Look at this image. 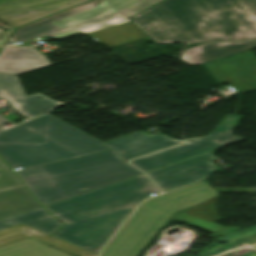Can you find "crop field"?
<instances>
[{"mask_svg":"<svg viewBox=\"0 0 256 256\" xmlns=\"http://www.w3.org/2000/svg\"><path fill=\"white\" fill-rule=\"evenodd\" d=\"M129 19L158 44L256 40V0H163Z\"/></svg>","mask_w":256,"mask_h":256,"instance_id":"1","label":"crop field"},{"mask_svg":"<svg viewBox=\"0 0 256 256\" xmlns=\"http://www.w3.org/2000/svg\"><path fill=\"white\" fill-rule=\"evenodd\" d=\"M152 192L160 191L142 174L45 206L65 222L53 236L98 254L137 204Z\"/></svg>","mask_w":256,"mask_h":256,"instance_id":"2","label":"crop field"},{"mask_svg":"<svg viewBox=\"0 0 256 256\" xmlns=\"http://www.w3.org/2000/svg\"><path fill=\"white\" fill-rule=\"evenodd\" d=\"M218 196L203 181L144 201L106 245L100 256H138L158 231L169 226L174 219L215 235L234 231L186 213Z\"/></svg>","mask_w":256,"mask_h":256,"instance_id":"3","label":"crop field"},{"mask_svg":"<svg viewBox=\"0 0 256 256\" xmlns=\"http://www.w3.org/2000/svg\"><path fill=\"white\" fill-rule=\"evenodd\" d=\"M101 143L49 114L0 133V155L25 170L109 150Z\"/></svg>","mask_w":256,"mask_h":256,"instance_id":"4","label":"crop field"},{"mask_svg":"<svg viewBox=\"0 0 256 256\" xmlns=\"http://www.w3.org/2000/svg\"><path fill=\"white\" fill-rule=\"evenodd\" d=\"M45 206L142 174L112 150L19 172Z\"/></svg>","mask_w":256,"mask_h":256,"instance_id":"5","label":"crop field"},{"mask_svg":"<svg viewBox=\"0 0 256 256\" xmlns=\"http://www.w3.org/2000/svg\"><path fill=\"white\" fill-rule=\"evenodd\" d=\"M161 0H94V2L18 29L10 41L38 36L57 40L130 21L128 18Z\"/></svg>","mask_w":256,"mask_h":256,"instance_id":"6","label":"crop field"},{"mask_svg":"<svg viewBox=\"0 0 256 256\" xmlns=\"http://www.w3.org/2000/svg\"><path fill=\"white\" fill-rule=\"evenodd\" d=\"M242 117L228 114L209 136L185 139L178 145L136 160L130 163L147 172L186 158L206 153L247 138L232 135V129Z\"/></svg>","mask_w":256,"mask_h":256,"instance_id":"7","label":"crop field"},{"mask_svg":"<svg viewBox=\"0 0 256 256\" xmlns=\"http://www.w3.org/2000/svg\"><path fill=\"white\" fill-rule=\"evenodd\" d=\"M213 158L214 154L209 152L147 172V174L165 192L164 189H174L199 181L217 171L212 165Z\"/></svg>","mask_w":256,"mask_h":256,"instance_id":"8","label":"crop field"},{"mask_svg":"<svg viewBox=\"0 0 256 256\" xmlns=\"http://www.w3.org/2000/svg\"><path fill=\"white\" fill-rule=\"evenodd\" d=\"M252 53L248 50L204 67L218 84L230 82L238 92L256 90V58Z\"/></svg>","mask_w":256,"mask_h":256,"instance_id":"9","label":"crop field"},{"mask_svg":"<svg viewBox=\"0 0 256 256\" xmlns=\"http://www.w3.org/2000/svg\"><path fill=\"white\" fill-rule=\"evenodd\" d=\"M86 1L89 0H17L0 4V20L15 28ZM7 32H0V43Z\"/></svg>","mask_w":256,"mask_h":256,"instance_id":"10","label":"crop field"},{"mask_svg":"<svg viewBox=\"0 0 256 256\" xmlns=\"http://www.w3.org/2000/svg\"><path fill=\"white\" fill-rule=\"evenodd\" d=\"M8 102L14 111L27 119L41 115L57 106L53 100L37 93L26 96L17 77L12 74L0 73V99ZM9 120L0 115V125Z\"/></svg>","mask_w":256,"mask_h":256,"instance_id":"11","label":"crop field"},{"mask_svg":"<svg viewBox=\"0 0 256 256\" xmlns=\"http://www.w3.org/2000/svg\"><path fill=\"white\" fill-rule=\"evenodd\" d=\"M180 141L169 139L161 134L148 137L142 132L120 137L103 145L111 148L122 159L129 160L134 157L146 155L176 144Z\"/></svg>","mask_w":256,"mask_h":256,"instance_id":"12","label":"crop field"},{"mask_svg":"<svg viewBox=\"0 0 256 256\" xmlns=\"http://www.w3.org/2000/svg\"><path fill=\"white\" fill-rule=\"evenodd\" d=\"M49 65L35 47H4L0 53V72L18 74Z\"/></svg>","mask_w":256,"mask_h":256,"instance_id":"13","label":"crop field"},{"mask_svg":"<svg viewBox=\"0 0 256 256\" xmlns=\"http://www.w3.org/2000/svg\"><path fill=\"white\" fill-rule=\"evenodd\" d=\"M256 47V42L208 43L185 50L179 58L189 65H200Z\"/></svg>","mask_w":256,"mask_h":256,"instance_id":"14","label":"crop field"},{"mask_svg":"<svg viewBox=\"0 0 256 256\" xmlns=\"http://www.w3.org/2000/svg\"><path fill=\"white\" fill-rule=\"evenodd\" d=\"M49 235V234H48ZM38 230H35L25 224L17 225L11 228H7L0 231V246L6 245L12 242L22 240L27 237H34L58 248L66 250L78 256H96V254L82 250L69 243L59 240L53 236H48Z\"/></svg>","mask_w":256,"mask_h":256,"instance_id":"15","label":"crop field"},{"mask_svg":"<svg viewBox=\"0 0 256 256\" xmlns=\"http://www.w3.org/2000/svg\"><path fill=\"white\" fill-rule=\"evenodd\" d=\"M90 39L110 48L147 35L132 21L85 34Z\"/></svg>","mask_w":256,"mask_h":256,"instance_id":"16","label":"crop field"},{"mask_svg":"<svg viewBox=\"0 0 256 256\" xmlns=\"http://www.w3.org/2000/svg\"><path fill=\"white\" fill-rule=\"evenodd\" d=\"M41 205L25 187L0 192V219L24 213Z\"/></svg>","mask_w":256,"mask_h":256,"instance_id":"17","label":"crop field"},{"mask_svg":"<svg viewBox=\"0 0 256 256\" xmlns=\"http://www.w3.org/2000/svg\"><path fill=\"white\" fill-rule=\"evenodd\" d=\"M21 223H25L49 235L52 234L62 225L61 222L53 218L42 207L0 221V224L5 225L7 227H11Z\"/></svg>","mask_w":256,"mask_h":256,"instance_id":"18","label":"crop field"},{"mask_svg":"<svg viewBox=\"0 0 256 256\" xmlns=\"http://www.w3.org/2000/svg\"><path fill=\"white\" fill-rule=\"evenodd\" d=\"M0 256H69L32 238L0 247Z\"/></svg>","mask_w":256,"mask_h":256,"instance_id":"19","label":"crop field"},{"mask_svg":"<svg viewBox=\"0 0 256 256\" xmlns=\"http://www.w3.org/2000/svg\"><path fill=\"white\" fill-rule=\"evenodd\" d=\"M217 199L212 200L208 203H205L187 213H189L193 216L199 217V218H203V219L212 221V222L219 221V218L215 211V204H216Z\"/></svg>","mask_w":256,"mask_h":256,"instance_id":"20","label":"crop field"},{"mask_svg":"<svg viewBox=\"0 0 256 256\" xmlns=\"http://www.w3.org/2000/svg\"><path fill=\"white\" fill-rule=\"evenodd\" d=\"M22 185L21 181L0 159V190Z\"/></svg>","mask_w":256,"mask_h":256,"instance_id":"21","label":"crop field"},{"mask_svg":"<svg viewBox=\"0 0 256 256\" xmlns=\"http://www.w3.org/2000/svg\"><path fill=\"white\" fill-rule=\"evenodd\" d=\"M8 1H13V0H0V3L8 2Z\"/></svg>","mask_w":256,"mask_h":256,"instance_id":"22","label":"crop field"},{"mask_svg":"<svg viewBox=\"0 0 256 256\" xmlns=\"http://www.w3.org/2000/svg\"><path fill=\"white\" fill-rule=\"evenodd\" d=\"M4 228H7V227L0 225V230L4 229Z\"/></svg>","mask_w":256,"mask_h":256,"instance_id":"23","label":"crop field"}]
</instances>
